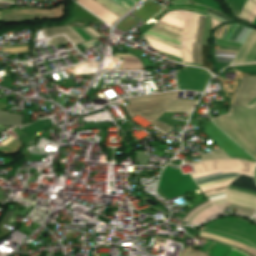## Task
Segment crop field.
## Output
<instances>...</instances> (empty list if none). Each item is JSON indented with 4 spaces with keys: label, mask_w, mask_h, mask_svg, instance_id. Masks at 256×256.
I'll return each mask as SVG.
<instances>
[{
    "label": "crop field",
    "mask_w": 256,
    "mask_h": 256,
    "mask_svg": "<svg viewBox=\"0 0 256 256\" xmlns=\"http://www.w3.org/2000/svg\"><path fill=\"white\" fill-rule=\"evenodd\" d=\"M192 165L195 173L191 177L209 199L191 208L187 214L180 212L176 219L198 224L224 213L225 186L241 174L253 177L255 164L241 159H209Z\"/></svg>",
    "instance_id": "obj_1"
},
{
    "label": "crop field",
    "mask_w": 256,
    "mask_h": 256,
    "mask_svg": "<svg viewBox=\"0 0 256 256\" xmlns=\"http://www.w3.org/2000/svg\"><path fill=\"white\" fill-rule=\"evenodd\" d=\"M211 120L255 158L256 107H230L228 114L211 118Z\"/></svg>",
    "instance_id": "obj_2"
},
{
    "label": "crop field",
    "mask_w": 256,
    "mask_h": 256,
    "mask_svg": "<svg viewBox=\"0 0 256 256\" xmlns=\"http://www.w3.org/2000/svg\"><path fill=\"white\" fill-rule=\"evenodd\" d=\"M178 92L156 94L127 99L124 106L131 119L137 114L149 122L155 121L163 112H190L197 100L175 99Z\"/></svg>",
    "instance_id": "obj_3"
},
{
    "label": "crop field",
    "mask_w": 256,
    "mask_h": 256,
    "mask_svg": "<svg viewBox=\"0 0 256 256\" xmlns=\"http://www.w3.org/2000/svg\"><path fill=\"white\" fill-rule=\"evenodd\" d=\"M187 12L172 11L167 14L185 17ZM165 15L143 36L156 51L169 56L181 57L179 42L185 18Z\"/></svg>",
    "instance_id": "obj_4"
},
{
    "label": "crop field",
    "mask_w": 256,
    "mask_h": 256,
    "mask_svg": "<svg viewBox=\"0 0 256 256\" xmlns=\"http://www.w3.org/2000/svg\"><path fill=\"white\" fill-rule=\"evenodd\" d=\"M205 17L194 13L187 14L182 38L181 50L184 62L201 65L200 44Z\"/></svg>",
    "instance_id": "obj_5"
},
{
    "label": "crop field",
    "mask_w": 256,
    "mask_h": 256,
    "mask_svg": "<svg viewBox=\"0 0 256 256\" xmlns=\"http://www.w3.org/2000/svg\"><path fill=\"white\" fill-rule=\"evenodd\" d=\"M227 187L236 189V190H240V191H244V192H248V193H252V194H256V186L254 184L253 178L246 177L243 175L239 176L237 179H235L233 182H231ZM228 188H226V190L228 192H232V193H236V194H240V195H244V196L256 199V195H252V194H248V193H244V192H240V191H236V190H232V189H228ZM228 192H227V196H228L227 207L238 208V210L236 212L237 214H243L248 217L253 215V213L256 210V200L255 199L243 197V196L228 193Z\"/></svg>",
    "instance_id": "obj_6"
},
{
    "label": "crop field",
    "mask_w": 256,
    "mask_h": 256,
    "mask_svg": "<svg viewBox=\"0 0 256 256\" xmlns=\"http://www.w3.org/2000/svg\"><path fill=\"white\" fill-rule=\"evenodd\" d=\"M83 7L93 12L106 23L112 25L119 17L131 9L133 0H77Z\"/></svg>",
    "instance_id": "obj_7"
},
{
    "label": "crop field",
    "mask_w": 256,
    "mask_h": 256,
    "mask_svg": "<svg viewBox=\"0 0 256 256\" xmlns=\"http://www.w3.org/2000/svg\"><path fill=\"white\" fill-rule=\"evenodd\" d=\"M203 131L213 142H215L230 157L248 159L255 162V160L249 154H247L243 149H241L237 144H235L230 138H228L222 131H220L217 127H215L211 122V120L206 125ZM221 149L213 151L214 154L201 155L200 159L203 160L206 158H213V157H229Z\"/></svg>",
    "instance_id": "obj_8"
},
{
    "label": "crop field",
    "mask_w": 256,
    "mask_h": 256,
    "mask_svg": "<svg viewBox=\"0 0 256 256\" xmlns=\"http://www.w3.org/2000/svg\"><path fill=\"white\" fill-rule=\"evenodd\" d=\"M204 229H213L238 236L256 247V225L249 223L245 219L221 218L209 223Z\"/></svg>",
    "instance_id": "obj_9"
},
{
    "label": "crop field",
    "mask_w": 256,
    "mask_h": 256,
    "mask_svg": "<svg viewBox=\"0 0 256 256\" xmlns=\"http://www.w3.org/2000/svg\"><path fill=\"white\" fill-rule=\"evenodd\" d=\"M211 75L203 69L183 66L176 70V81L179 90H195L203 92Z\"/></svg>",
    "instance_id": "obj_10"
},
{
    "label": "crop field",
    "mask_w": 256,
    "mask_h": 256,
    "mask_svg": "<svg viewBox=\"0 0 256 256\" xmlns=\"http://www.w3.org/2000/svg\"><path fill=\"white\" fill-rule=\"evenodd\" d=\"M256 96V77L241 79L231 106H243ZM244 106H256V97Z\"/></svg>",
    "instance_id": "obj_11"
},
{
    "label": "crop field",
    "mask_w": 256,
    "mask_h": 256,
    "mask_svg": "<svg viewBox=\"0 0 256 256\" xmlns=\"http://www.w3.org/2000/svg\"><path fill=\"white\" fill-rule=\"evenodd\" d=\"M251 32V29L237 25V24H229L226 26L220 27L214 37L243 43L248 34Z\"/></svg>",
    "instance_id": "obj_12"
},
{
    "label": "crop field",
    "mask_w": 256,
    "mask_h": 256,
    "mask_svg": "<svg viewBox=\"0 0 256 256\" xmlns=\"http://www.w3.org/2000/svg\"><path fill=\"white\" fill-rule=\"evenodd\" d=\"M256 62V31L250 34L233 64Z\"/></svg>",
    "instance_id": "obj_13"
},
{
    "label": "crop field",
    "mask_w": 256,
    "mask_h": 256,
    "mask_svg": "<svg viewBox=\"0 0 256 256\" xmlns=\"http://www.w3.org/2000/svg\"><path fill=\"white\" fill-rule=\"evenodd\" d=\"M210 256H247L244 253L229 247L212 243L207 252Z\"/></svg>",
    "instance_id": "obj_14"
},
{
    "label": "crop field",
    "mask_w": 256,
    "mask_h": 256,
    "mask_svg": "<svg viewBox=\"0 0 256 256\" xmlns=\"http://www.w3.org/2000/svg\"><path fill=\"white\" fill-rule=\"evenodd\" d=\"M200 236L236 246L238 248H241V249L249 252L251 255L256 256V250L255 249H253V248H251V247H249L245 244H242L240 242L229 240V239H226V238H224L222 236H219V235L204 233V232H201Z\"/></svg>",
    "instance_id": "obj_15"
},
{
    "label": "crop field",
    "mask_w": 256,
    "mask_h": 256,
    "mask_svg": "<svg viewBox=\"0 0 256 256\" xmlns=\"http://www.w3.org/2000/svg\"><path fill=\"white\" fill-rule=\"evenodd\" d=\"M239 17L252 23L256 18V0H248L241 10Z\"/></svg>",
    "instance_id": "obj_16"
},
{
    "label": "crop field",
    "mask_w": 256,
    "mask_h": 256,
    "mask_svg": "<svg viewBox=\"0 0 256 256\" xmlns=\"http://www.w3.org/2000/svg\"><path fill=\"white\" fill-rule=\"evenodd\" d=\"M237 50L233 49H215V58L218 63H230L236 54Z\"/></svg>",
    "instance_id": "obj_17"
},
{
    "label": "crop field",
    "mask_w": 256,
    "mask_h": 256,
    "mask_svg": "<svg viewBox=\"0 0 256 256\" xmlns=\"http://www.w3.org/2000/svg\"><path fill=\"white\" fill-rule=\"evenodd\" d=\"M165 9H166V11L181 9V10H188V11L197 12V13L207 15L205 7L196 6V5L171 6V7L165 8Z\"/></svg>",
    "instance_id": "obj_18"
},
{
    "label": "crop field",
    "mask_w": 256,
    "mask_h": 256,
    "mask_svg": "<svg viewBox=\"0 0 256 256\" xmlns=\"http://www.w3.org/2000/svg\"><path fill=\"white\" fill-rule=\"evenodd\" d=\"M237 16L246 0H225L224 1Z\"/></svg>",
    "instance_id": "obj_19"
},
{
    "label": "crop field",
    "mask_w": 256,
    "mask_h": 256,
    "mask_svg": "<svg viewBox=\"0 0 256 256\" xmlns=\"http://www.w3.org/2000/svg\"><path fill=\"white\" fill-rule=\"evenodd\" d=\"M193 2H195L196 4H199V5H203V6H206V7H210L214 10H217L221 13H223V9L221 6H219L215 1L213 0H192Z\"/></svg>",
    "instance_id": "obj_20"
},
{
    "label": "crop field",
    "mask_w": 256,
    "mask_h": 256,
    "mask_svg": "<svg viewBox=\"0 0 256 256\" xmlns=\"http://www.w3.org/2000/svg\"><path fill=\"white\" fill-rule=\"evenodd\" d=\"M209 46L202 45V66L212 72V64L208 57Z\"/></svg>",
    "instance_id": "obj_21"
},
{
    "label": "crop field",
    "mask_w": 256,
    "mask_h": 256,
    "mask_svg": "<svg viewBox=\"0 0 256 256\" xmlns=\"http://www.w3.org/2000/svg\"><path fill=\"white\" fill-rule=\"evenodd\" d=\"M2 51H8L9 54L26 52L28 50V46H7L2 49Z\"/></svg>",
    "instance_id": "obj_22"
},
{
    "label": "crop field",
    "mask_w": 256,
    "mask_h": 256,
    "mask_svg": "<svg viewBox=\"0 0 256 256\" xmlns=\"http://www.w3.org/2000/svg\"><path fill=\"white\" fill-rule=\"evenodd\" d=\"M211 22L208 17H206L205 20V26H204V33H203V41L202 44L206 45L207 43V38L210 30Z\"/></svg>",
    "instance_id": "obj_23"
},
{
    "label": "crop field",
    "mask_w": 256,
    "mask_h": 256,
    "mask_svg": "<svg viewBox=\"0 0 256 256\" xmlns=\"http://www.w3.org/2000/svg\"><path fill=\"white\" fill-rule=\"evenodd\" d=\"M181 256H207V255H205L200 251L194 250L192 248H188L182 252Z\"/></svg>",
    "instance_id": "obj_24"
},
{
    "label": "crop field",
    "mask_w": 256,
    "mask_h": 256,
    "mask_svg": "<svg viewBox=\"0 0 256 256\" xmlns=\"http://www.w3.org/2000/svg\"><path fill=\"white\" fill-rule=\"evenodd\" d=\"M116 59L119 60H138L134 57H123V56H115ZM121 64H141L140 61H122Z\"/></svg>",
    "instance_id": "obj_25"
},
{
    "label": "crop field",
    "mask_w": 256,
    "mask_h": 256,
    "mask_svg": "<svg viewBox=\"0 0 256 256\" xmlns=\"http://www.w3.org/2000/svg\"><path fill=\"white\" fill-rule=\"evenodd\" d=\"M151 125H153L154 127L158 128L159 130H161L165 133L168 132L170 129H172L169 126H167L157 120L154 123H152Z\"/></svg>",
    "instance_id": "obj_26"
},
{
    "label": "crop field",
    "mask_w": 256,
    "mask_h": 256,
    "mask_svg": "<svg viewBox=\"0 0 256 256\" xmlns=\"http://www.w3.org/2000/svg\"><path fill=\"white\" fill-rule=\"evenodd\" d=\"M217 41V46H222V47H234V48H240V44H234V43H229V42H224V41Z\"/></svg>",
    "instance_id": "obj_27"
},
{
    "label": "crop field",
    "mask_w": 256,
    "mask_h": 256,
    "mask_svg": "<svg viewBox=\"0 0 256 256\" xmlns=\"http://www.w3.org/2000/svg\"><path fill=\"white\" fill-rule=\"evenodd\" d=\"M71 28L74 29L75 31H77V32L80 34V36H81L85 41L91 40V38H90L88 35H86L79 27H71Z\"/></svg>",
    "instance_id": "obj_28"
},
{
    "label": "crop field",
    "mask_w": 256,
    "mask_h": 256,
    "mask_svg": "<svg viewBox=\"0 0 256 256\" xmlns=\"http://www.w3.org/2000/svg\"><path fill=\"white\" fill-rule=\"evenodd\" d=\"M171 3L173 5H179V4H190V2L188 0H175V1H171Z\"/></svg>",
    "instance_id": "obj_29"
},
{
    "label": "crop field",
    "mask_w": 256,
    "mask_h": 256,
    "mask_svg": "<svg viewBox=\"0 0 256 256\" xmlns=\"http://www.w3.org/2000/svg\"><path fill=\"white\" fill-rule=\"evenodd\" d=\"M198 122H199V121L193 120V119H190V121H189L190 124H193V125H195V126H197Z\"/></svg>",
    "instance_id": "obj_30"
},
{
    "label": "crop field",
    "mask_w": 256,
    "mask_h": 256,
    "mask_svg": "<svg viewBox=\"0 0 256 256\" xmlns=\"http://www.w3.org/2000/svg\"><path fill=\"white\" fill-rule=\"evenodd\" d=\"M66 100V98H62V97H60L59 99H57L56 101H58V102H60V103H64V101Z\"/></svg>",
    "instance_id": "obj_31"
},
{
    "label": "crop field",
    "mask_w": 256,
    "mask_h": 256,
    "mask_svg": "<svg viewBox=\"0 0 256 256\" xmlns=\"http://www.w3.org/2000/svg\"><path fill=\"white\" fill-rule=\"evenodd\" d=\"M0 1H4V2H13L14 0H0Z\"/></svg>",
    "instance_id": "obj_32"
},
{
    "label": "crop field",
    "mask_w": 256,
    "mask_h": 256,
    "mask_svg": "<svg viewBox=\"0 0 256 256\" xmlns=\"http://www.w3.org/2000/svg\"><path fill=\"white\" fill-rule=\"evenodd\" d=\"M4 128L6 127L0 125V131H2Z\"/></svg>",
    "instance_id": "obj_33"
},
{
    "label": "crop field",
    "mask_w": 256,
    "mask_h": 256,
    "mask_svg": "<svg viewBox=\"0 0 256 256\" xmlns=\"http://www.w3.org/2000/svg\"><path fill=\"white\" fill-rule=\"evenodd\" d=\"M210 245H211V242H210V244L208 245V247L206 248V250H205L206 252H207L208 248L210 247Z\"/></svg>",
    "instance_id": "obj_34"
},
{
    "label": "crop field",
    "mask_w": 256,
    "mask_h": 256,
    "mask_svg": "<svg viewBox=\"0 0 256 256\" xmlns=\"http://www.w3.org/2000/svg\"><path fill=\"white\" fill-rule=\"evenodd\" d=\"M134 1H135V2H136V4H137V3H139L141 0H134Z\"/></svg>",
    "instance_id": "obj_35"
},
{
    "label": "crop field",
    "mask_w": 256,
    "mask_h": 256,
    "mask_svg": "<svg viewBox=\"0 0 256 256\" xmlns=\"http://www.w3.org/2000/svg\"><path fill=\"white\" fill-rule=\"evenodd\" d=\"M254 176H255V179H256V169H255V172H254Z\"/></svg>",
    "instance_id": "obj_36"
},
{
    "label": "crop field",
    "mask_w": 256,
    "mask_h": 256,
    "mask_svg": "<svg viewBox=\"0 0 256 256\" xmlns=\"http://www.w3.org/2000/svg\"><path fill=\"white\" fill-rule=\"evenodd\" d=\"M170 165V164H169ZM171 166H173V165H171ZM173 167H175V166H173ZM175 168H177L178 169V167H175Z\"/></svg>",
    "instance_id": "obj_37"
},
{
    "label": "crop field",
    "mask_w": 256,
    "mask_h": 256,
    "mask_svg": "<svg viewBox=\"0 0 256 256\" xmlns=\"http://www.w3.org/2000/svg\"><path fill=\"white\" fill-rule=\"evenodd\" d=\"M71 94V93H70ZM71 95H74V94H71ZM76 96H78V95H76Z\"/></svg>",
    "instance_id": "obj_38"
}]
</instances>
